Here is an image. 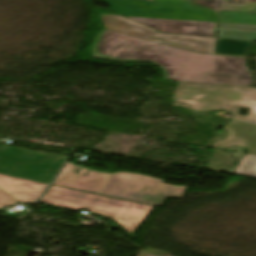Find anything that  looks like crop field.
<instances>
[{"label": "crop field", "mask_w": 256, "mask_h": 256, "mask_svg": "<svg viewBox=\"0 0 256 256\" xmlns=\"http://www.w3.org/2000/svg\"><path fill=\"white\" fill-rule=\"evenodd\" d=\"M93 58L120 62H150L173 81L252 85L244 58L198 54L101 30L93 40Z\"/></svg>", "instance_id": "8a807250"}, {"label": "crop field", "mask_w": 256, "mask_h": 256, "mask_svg": "<svg viewBox=\"0 0 256 256\" xmlns=\"http://www.w3.org/2000/svg\"><path fill=\"white\" fill-rule=\"evenodd\" d=\"M162 182L139 174L97 172L68 162L53 184L159 207L166 197L182 198L187 188Z\"/></svg>", "instance_id": "ac0d7876"}, {"label": "crop field", "mask_w": 256, "mask_h": 256, "mask_svg": "<svg viewBox=\"0 0 256 256\" xmlns=\"http://www.w3.org/2000/svg\"><path fill=\"white\" fill-rule=\"evenodd\" d=\"M40 202L76 211L84 209L106 217L118 222L130 236L154 208L153 206L54 185L50 186Z\"/></svg>", "instance_id": "34b2d1b8"}, {"label": "crop field", "mask_w": 256, "mask_h": 256, "mask_svg": "<svg viewBox=\"0 0 256 256\" xmlns=\"http://www.w3.org/2000/svg\"><path fill=\"white\" fill-rule=\"evenodd\" d=\"M173 100L198 111H233L235 119L256 124V88L179 82ZM249 108L248 116L238 115Z\"/></svg>", "instance_id": "412701ff"}, {"label": "crop field", "mask_w": 256, "mask_h": 256, "mask_svg": "<svg viewBox=\"0 0 256 256\" xmlns=\"http://www.w3.org/2000/svg\"><path fill=\"white\" fill-rule=\"evenodd\" d=\"M116 14L217 22L219 0H103Z\"/></svg>", "instance_id": "f4fd0767"}, {"label": "crop field", "mask_w": 256, "mask_h": 256, "mask_svg": "<svg viewBox=\"0 0 256 256\" xmlns=\"http://www.w3.org/2000/svg\"><path fill=\"white\" fill-rule=\"evenodd\" d=\"M67 158L0 145V174L50 184Z\"/></svg>", "instance_id": "dd49c442"}, {"label": "crop field", "mask_w": 256, "mask_h": 256, "mask_svg": "<svg viewBox=\"0 0 256 256\" xmlns=\"http://www.w3.org/2000/svg\"><path fill=\"white\" fill-rule=\"evenodd\" d=\"M105 29L110 31L198 52L215 54V38L159 34L145 25H141L120 15L99 14Z\"/></svg>", "instance_id": "e52e79f7"}, {"label": "crop field", "mask_w": 256, "mask_h": 256, "mask_svg": "<svg viewBox=\"0 0 256 256\" xmlns=\"http://www.w3.org/2000/svg\"><path fill=\"white\" fill-rule=\"evenodd\" d=\"M158 31L215 37L217 23L128 17Z\"/></svg>", "instance_id": "d8731c3e"}, {"label": "crop field", "mask_w": 256, "mask_h": 256, "mask_svg": "<svg viewBox=\"0 0 256 256\" xmlns=\"http://www.w3.org/2000/svg\"><path fill=\"white\" fill-rule=\"evenodd\" d=\"M223 130L229 132L228 137L214 143L213 148L224 149L241 146L247 147L249 153L256 155V125L233 119Z\"/></svg>", "instance_id": "5a996713"}, {"label": "crop field", "mask_w": 256, "mask_h": 256, "mask_svg": "<svg viewBox=\"0 0 256 256\" xmlns=\"http://www.w3.org/2000/svg\"><path fill=\"white\" fill-rule=\"evenodd\" d=\"M46 184L0 175V189L20 202L37 201Z\"/></svg>", "instance_id": "3316defc"}, {"label": "crop field", "mask_w": 256, "mask_h": 256, "mask_svg": "<svg viewBox=\"0 0 256 256\" xmlns=\"http://www.w3.org/2000/svg\"><path fill=\"white\" fill-rule=\"evenodd\" d=\"M252 42L218 38L217 52L246 56Z\"/></svg>", "instance_id": "28ad6ade"}, {"label": "crop field", "mask_w": 256, "mask_h": 256, "mask_svg": "<svg viewBox=\"0 0 256 256\" xmlns=\"http://www.w3.org/2000/svg\"><path fill=\"white\" fill-rule=\"evenodd\" d=\"M219 22L256 25V10L253 13L221 11Z\"/></svg>", "instance_id": "d1516ede"}, {"label": "crop field", "mask_w": 256, "mask_h": 256, "mask_svg": "<svg viewBox=\"0 0 256 256\" xmlns=\"http://www.w3.org/2000/svg\"><path fill=\"white\" fill-rule=\"evenodd\" d=\"M255 7L256 0H220L218 10L252 11Z\"/></svg>", "instance_id": "22f410ed"}, {"label": "crop field", "mask_w": 256, "mask_h": 256, "mask_svg": "<svg viewBox=\"0 0 256 256\" xmlns=\"http://www.w3.org/2000/svg\"><path fill=\"white\" fill-rule=\"evenodd\" d=\"M234 174L256 178V156L243 157Z\"/></svg>", "instance_id": "cbeb9de0"}, {"label": "crop field", "mask_w": 256, "mask_h": 256, "mask_svg": "<svg viewBox=\"0 0 256 256\" xmlns=\"http://www.w3.org/2000/svg\"><path fill=\"white\" fill-rule=\"evenodd\" d=\"M219 37L254 41L256 32L220 29Z\"/></svg>", "instance_id": "5142ce71"}, {"label": "crop field", "mask_w": 256, "mask_h": 256, "mask_svg": "<svg viewBox=\"0 0 256 256\" xmlns=\"http://www.w3.org/2000/svg\"><path fill=\"white\" fill-rule=\"evenodd\" d=\"M220 28L256 30V26H253V25H239V24H226V23H220Z\"/></svg>", "instance_id": "d9b57169"}, {"label": "crop field", "mask_w": 256, "mask_h": 256, "mask_svg": "<svg viewBox=\"0 0 256 256\" xmlns=\"http://www.w3.org/2000/svg\"><path fill=\"white\" fill-rule=\"evenodd\" d=\"M15 202H18V201L0 190V207L11 204V203H15Z\"/></svg>", "instance_id": "733c2abd"}, {"label": "crop field", "mask_w": 256, "mask_h": 256, "mask_svg": "<svg viewBox=\"0 0 256 256\" xmlns=\"http://www.w3.org/2000/svg\"><path fill=\"white\" fill-rule=\"evenodd\" d=\"M153 256H157V255H153Z\"/></svg>", "instance_id": "4a817a6b"}]
</instances>
